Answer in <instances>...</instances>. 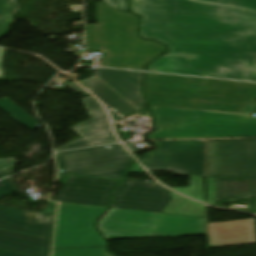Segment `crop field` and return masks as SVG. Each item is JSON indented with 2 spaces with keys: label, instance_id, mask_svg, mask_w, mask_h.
<instances>
[{
  "label": "crop field",
  "instance_id": "crop-field-1",
  "mask_svg": "<svg viewBox=\"0 0 256 256\" xmlns=\"http://www.w3.org/2000/svg\"><path fill=\"white\" fill-rule=\"evenodd\" d=\"M170 52L150 71L256 81V0H131Z\"/></svg>",
  "mask_w": 256,
  "mask_h": 256
},
{
  "label": "crop field",
  "instance_id": "crop-field-2",
  "mask_svg": "<svg viewBox=\"0 0 256 256\" xmlns=\"http://www.w3.org/2000/svg\"><path fill=\"white\" fill-rule=\"evenodd\" d=\"M96 18L97 24L86 25V42L89 50L106 53L103 66L144 70L147 62L166 50L136 36L138 18L131 13L97 3Z\"/></svg>",
  "mask_w": 256,
  "mask_h": 256
},
{
  "label": "crop field",
  "instance_id": "crop-field-3",
  "mask_svg": "<svg viewBox=\"0 0 256 256\" xmlns=\"http://www.w3.org/2000/svg\"><path fill=\"white\" fill-rule=\"evenodd\" d=\"M158 131L149 139L256 137V117L235 114L150 106Z\"/></svg>",
  "mask_w": 256,
  "mask_h": 256
},
{
  "label": "crop field",
  "instance_id": "crop-field-4",
  "mask_svg": "<svg viewBox=\"0 0 256 256\" xmlns=\"http://www.w3.org/2000/svg\"><path fill=\"white\" fill-rule=\"evenodd\" d=\"M107 240L206 235L205 218L111 208L98 224Z\"/></svg>",
  "mask_w": 256,
  "mask_h": 256
},
{
  "label": "crop field",
  "instance_id": "crop-field-5",
  "mask_svg": "<svg viewBox=\"0 0 256 256\" xmlns=\"http://www.w3.org/2000/svg\"><path fill=\"white\" fill-rule=\"evenodd\" d=\"M56 153L61 175L75 174L123 180L134 161L121 144Z\"/></svg>",
  "mask_w": 256,
  "mask_h": 256
},
{
  "label": "crop field",
  "instance_id": "crop-field-6",
  "mask_svg": "<svg viewBox=\"0 0 256 256\" xmlns=\"http://www.w3.org/2000/svg\"><path fill=\"white\" fill-rule=\"evenodd\" d=\"M207 176L256 179V139L206 141Z\"/></svg>",
  "mask_w": 256,
  "mask_h": 256
},
{
  "label": "crop field",
  "instance_id": "crop-field-7",
  "mask_svg": "<svg viewBox=\"0 0 256 256\" xmlns=\"http://www.w3.org/2000/svg\"><path fill=\"white\" fill-rule=\"evenodd\" d=\"M158 151L148 155L143 164L149 171H170L184 176H206L205 141L154 142Z\"/></svg>",
  "mask_w": 256,
  "mask_h": 256
},
{
  "label": "crop field",
  "instance_id": "crop-field-8",
  "mask_svg": "<svg viewBox=\"0 0 256 256\" xmlns=\"http://www.w3.org/2000/svg\"><path fill=\"white\" fill-rule=\"evenodd\" d=\"M106 208L60 203L54 248L105 245L93 227Z\"/></svg>",
  "mask_w": 256,
  "mask_h": 256
},
{
  "label": "crop field",
  "instance_id": "crop-field-9",
  "mask_svg": "<svg viewBox=\"0 0 256 256\" xmlns=\"http://www.w3.org/2000/svg\"><path fill=\"white\" fill-rule=\"evenodd\" d=\"M0 227L43 236V238L0 229V248L34 256H48L52 227L29 226L22 211L0 206Z\"/></svg>",
  "mask_w": 256,
  "mask_h": 256
},
{
  "label": "crop field",
  "instance_id": "crop-field-10",
  "mask_svg": "<svg viewBox=\"0 0 256 256\" xmlns=\"http://www.w3.org/2000/svg\"><path fill=\"white\" fill-rule=\"evenodd\" d=\"M120 182L70 175L55 200L108 207L111 193Z\"/></svg>",
  "mask_w": 256,
  "mask_h": 256
},
{
  "label": "crop field",
  "instance_id": "crop-field-11",
  "mask_svg": "<svg viewBox=\"0 0 256 256\" xmlns=\"http://www.w3.org/2000/svg\"><path fill=\"white\" fill-rule=\"evenodd\" d=\"M171 199L169 190L157 183L150 184L128 179L117 192L112 207L160 212Z\"/></svg>",
  "mask_w": 256,
  "mask_h": 256
},
{
  "label": "crop field",
  "instance_id": "crop-field-12",
  "mask_svg": "<svg viewBox=\"0 0 256 256\" xmlns=\"http://www.w3.org/2000/svg\"><path fill=\"white\" fill-rule=\"evenodd\" d=\"M83 100L92 116V120L72 128L83 138L59 147L56 151L118 142L110 126L101 130L108 119L104 108L93 97Z\"/></svg>",
  "mask_w": 256,
  "mask_h": 256
},
{
  "label": "crop field",
  "instance_id": "crop-field-13",
  "mask_svg": "<svg viewBox=\"0 0 256 256\" xmlns=\"http://www.w3.org/2000/svg\"><path fill=\"white\" fill-rule=\"evenodd\" d=\"M209 248L256 243L255 219L208 224Z\"/></svg>",
  "mask_w": 256,
  "mask_h": 256
},
{
  "label": "crop field",
  "instance_id": "crop-field-14",
  "mask_svg": "<svg viewBox=\"0 0 256 256\" xmlns=\"http://www.w3.org/2000/svg\"><path fill=\"white\" fill-rule=\"evenodd\" d=\"M95 75L136 109L141 110L145 104L141 94L143 73L97 68Z\"/></svg>",
  "mask_w": 256,
  "mask_h": 256
},
{
  "label": "crop field",
  "instance_id": "crop-field-15",
  "mask_svg": "<svg viewBox=\"0 0 256 256\" xmlns=\"http://www.w3.org/2000/svg\"><path fill=\"white\" fill-rule=\"evenodd\" d=\"M80 84L100 98L107 107H112L126 118L139 113L138 110L116 94L107 84L100 81L97 77L80 82Z\"/></svg>",
  "mask_w": 256,
  "mask_h": 256
},
{
  "label": "crop field",
  "instance_id": "crop-field-16",
  "mask_svg": "<svg viewBox=\"0 0 256 256\" xmlns=\"http://www.w3.org/2000/svg\"><path fill=\"white\" fill-rule=\"evenodd\" d=\"M216 201L249 198V180L215 179Z\"/></svg>",
  "mask_w": 256,
  "mask_h": 256
},
{
  "label": "crop field",
  "instance_id": "crop-field-17",
  "mask_svg": "<svg viewBox=\"0 0 256 256\" xmlns=\"http://www.w3.org/2000/svg\"><path fill=\"white\" fill-rule=\"evenodd\" d=\"M172 197V201L162 212L205 217L203 204L190 201L175 193L172 194Z\"/></svg>",
  "mask_w": 256,
  "mask_h": 256
},
{
  "label": "crop field",
  "instance_id": "crop-field-18",
  "mask_svg": "<svg viewBox=\"0 0 256 256\" xmlns=\"http://www.w3.org/2000/svg\"><path fill=\"white\" fill-rule=\"evenodd\" d=\"M190 185L188 188H172L173 190L191 196L205 203L215 205L214 179L207 178V196L208 202L204 201L203 178L190 177Z\"/></svg>",
  "mask_w": 256,
  "mask_h": 256
},
{
  "label": "crop field",
  "instance_id": "crop-field-19",
  "mask_svg": "<svg viewBox=\"0 0 256 256\" xmlns=\"http://www.w3.org/2000/svg\"><path fill=\"white\" fill-rule=\"evenodd\" d=\"M0 108L8 113L10 118L14 119L30 130L38 128V124L42 126V124H40L7 98L0 100Z\"/></svg>",
  "mask_w": 256,
  "mask_h": 256
},
{
  "label": "crop field",
  "instance_id": "crop-field-20",
  "mask_svg": "<svg viewBox=\"0 0 256 256\" xmlns=\"http://www.w3.org/2000/svg\"><path fill=\"white\" fill-rule=\"evenodd\" d=\"M19 4L14 0H0V38L8 33L14 19L10 17L18 8Z\"/></svg>",
  "mask_w": 256,
  "mask_h": 256
},
{
  "label": "crop field",
  "instance_id": "crop-field-21",
  "mask_svg": "<svg viewBox=\"0 0 256 256\" xmlns=\"http://www.w3.org/2000/svg\"><path fill=\"white\" fill-rule=\"evenodd\" d=\"M53 256H112L106 252V247L54 250Z\"/></svg>",
  "mask_w": 256,
  "mask_h": 256
},
{
  "label": "crop field",
  "instance_id": "crop-field-22",
  "mask_svg": "<svg viewBox=\"0 0 256 256\" xmlns=\"http://www.w3.org/2000/svg\"><path fill=\"white\" fill-rule=\"evenodd\" d=\"M29 225L53 226L55 217L23 211Z\"/></svg>",
  "mask_w": 256,
  "mask_h": 256
},
{
  "label": "crop field",
  "instance_id": "crop-field-23",
  "mask_svg": "<svg viewBox=\"0 0 256 256\" xmlns=\"http://www.w3.org/2000/svg\"><path fill=\"white\" fill-rule=\"evenodd\" d=\"M16 192V189L13 186L11 178L3 180L0 182V199Z\"/></svg>",
  "mask_w": 256,
  "mask_h": 256
},
{
  "label": "crop field",
  "instance_id": "crop-field-24",
  "mask_svg": "<svg viewBox=\"0 0 256 256\" xmlns=\"http://www.w3.org/2000/svg\"><path fill=\"white\" fill-rule=\"evenodd\" d=\"M103 2L117 8L120 11L127 12L125 0H103Z\"/></svg>",
  "mask_w": 256,
  "mask_h": 256
},
{
  "label": "crop field",
  "instance_id": "crop-field-25",
  "mask_svg": "<svg viewBox=\"0 0 256 256\" xmlns=\"http://www.w3.org/2000/svg\"><path fill=\"white\" fill-rule=\"evenodd\" d=\"M19 164L12 159H0V171Z\"/></svg>",
  "mask_w": 256,
  "mask_h": 256
},
{
  "label": "crop field",
  "instance_id": "crop-field-26",
  "mask_svg": "<svg viewBox=\"0 0 256 256\" xmlns=\"http://www.w3.org/2000/svg\"><path fill=\"white\" fill-rule=\"evenodd\" d=\"M56 206H57V203L52 202V203H51L47 208H45L41 213H42V214H48V215H53V216H55Z\"/></svg>",
  "mask_w": 256,
  "mask_h": 256
},
{
  "label": "crop field",
  "instance_id": "crop-field-27",
  "mask_svg": "<svg viewBox=\"0 0 256 256\" xmlns=\"http://www.w3.org/2000/svg\"><path fill=\"white\" fill-rule=\"evenodd\" d=\"M0 256H29V255H25V254L13 252V251H8V250L0 249Z\"/></svg>",
  "mask_w": 256,
  "mask_h": 256
},
{
  "label": "crop field",
  "instance_id": "crop-field-28",
  "mask_svg": "<svg viewBox=\"0 0 256 256\" xmlns=\"http://www.w3.org/2000/svg\"><path fill=\"white\" fill-rule=\"evenodd\" d=\"M16 166L0 172V179L7 177L15 172Z\"/></svg>",
  "mask_w": 256,
  "mask_h": 256
},
{
  "label": "crop field",
  "instance_id": "crop-field-29",
  "mask_svg": "<svg viewBox=\"0 0 256 256\" xmlns=\"http://www.w3.org/2000/svg\"><path fill=\"white\" fill-rule=\"evenodd\" d=\"M66 85L69 86L76 93H87L75 83H67Z\"/></svg>",
  "mask_w": 256,
  "mask_h": 256
},
{
  "label": "crop field",
  "instance_id": "crop-field-30",
  "mask_svg": "<svg viewBox=\"0 0 256 256\" xmlns=\"http://www.w3.org/2000/svg\"><path fill=\"white\" fill-rule=\"evenodd\" d=\"M131 173L147 174L138 163L133 166Z\"/></svg>",
  "mask_w": 256,
  "mask_h": 256
},
{
  "label": "crop field",
  "instance_id": "crop-field-31",
  "mask_svg": "<svg viewBox=\"0 0 256 256\" xmlns=\"http://www.w3.org/2000/svg\"><path fill=\"white\" fill-rule=\"evenodd\" d=\"M5 50L0 49V78H3V56Z\"/></svg>",
  "mask_w": 256,
  "mask_h": 256
},
{
  "label": "crop field",
  "instance_id": "crop-field-32",
  "mask_svg": "<svg viewBox=\"0 0 256 256\" xmlns=\"http://www.w3.org/2000/svg\"><path fill=\"white\" fill-rule=\"evenodd\" d=\"M251 197H256V180H250Z\"/></svg>",
  "mask_w": 256,
  "mask_h": 256
},
{
  "label": "crop field",
  "instance_id": "crop-field-33",
  "mask_svg": "<svg viewBox=\"0 0 256 256\" xmlns=\"http://www.w3.org/2000/svg\"><path fill=\"white\" fill-rule=\"evenodd\" d=\"M256 105L247 104L243 113H253Z\"/></svg>",
  "mask_w": 256,
  "mask_h": 256
},
{
  "label": "crop field",
  "instance_id": "crop-field-34",
  "mask_svg": "<svg viewBox=\"0 0 256 256\" xmlns=\"http://www.w3.org/2000/svg\"><path fill=\"white\" fill-rule=\"evenodd\" d=\"M109 110H110V112L112 114V117H113L115 123L118 122V121L123 120V118L120 117L118 114H116L114 111H112L111 109H109Z\"/></svg>",
  "mask_w": 256,
  "mask_h": 256
},
{
  "label": "crop field",
  "instance_id": "crop-field-35",
  "mask_svg": "<svg viewBox=\"0 0 256 256\" xmlns=\"http://www.w3.org/2000/svg\"><path fill=\"white\" fill-rule=\"evenodd\" d=\"M133 153H138L134 144L130 143V144H125Z\"/></svg>",
  "mask_w": 256,
  "mask_h": 256
},
{
  "label": "crop field",
  "instance_id": "crop-field-36",
  "mask_svg": "<svg viewBox=\"0 0 256 256\" xmlns=\"http://www.w3.org/2000/svg\"><path fill=\"white\" fill-rule=\"evenodd\" d=\"M68 177H69V175H68V176L59 177L58 180H57V182H59V183H61V184L64 185V183L66 182V180H67Z\"/></svg>",
  "mask_w": 256,
  "mask_h": 256
},
{
  "label": "crop field",
  "instance_id": "crop-field-37",
  "mask_svg": "<svg viewBox=\"0 0 256 256\" xmlns=\"http://www.w3.org/2000/svg\"><path fill=\"white\" fill-rule=\"evenodd\" d=\"M119 137H120V136H119ZM122 138H123L124 140H126V139H131L130 136H129V133L122 135ZM120 139H121V137H120ZM121 140H122V139H121ZM124 140H122V141H124Z\"/></svg>",
  "mask_w": 256,
  "mask_h": 256
},
{
  "label": "crop field",
  "instance_id": "crop-field-38",
  "mask_svg": "<svg viewBox=\"0 0 256 256\" xmlns=\"http://www.w3.org/2000/svg\"><path fill=\"white\" fill-rule=\"evenodd\" d=\"M108 125H110V124H109V120L106 122V124H105L104 127H106V126H108ZM104 127H103V128H104Z\"/></svg>",
  "mask_w": 256,
  "mask_h": 256
}]
</instances>
